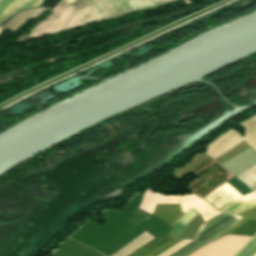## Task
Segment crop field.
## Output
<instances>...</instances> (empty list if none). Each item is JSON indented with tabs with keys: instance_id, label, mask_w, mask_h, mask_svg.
<instances>
[{
	"instance_id": "crop-field-1",
	"label": "crop field",
	"mask_w": 256,
	"mask_h": 256,
	"mask_svg": "<svg viewBox=\"0 0 256 256\" xmlns=\"http://www.w3.org/2000/svg\"><path fill=\"white\" fill-rule=\"evenodd\" d=\"M242 125L246 129L244 138L239 133L230 130L212 143L205 153L215 159L244 140L256 150V116Z\"/></svg>"
},
{
	"instance_id": "crop-field-2",
	"label": "crop field",
	"mask_w": 256,
	"mask_h": 256,
	"mask_svg": "<svg viewBox=\"0 0 256 256\" xmlns=\"http://www.w3.org/2000/svg\"><path fill=\"white\" fill-rule=\"evenodd\" d=\"M179 205L182 210V213H185L191 208L198 211L204 222L220 213V211L215 210L210 204L205 202L203 199L193 194L180 196Z\"/></svg>"
},
{
	"instance_id": "crop-field-5",
	"label": "crop field",
	"mask_w": 256,
	"mask_h": 256,
	"mask_svg": "<svg viewBox=\"0 0 256 256\" xmlns=\"http://www.w3.org/2000/svg\"><path fill=\"white\" fill-rule=\"evenodd\" d=\"M152 239L154 238H152L150 235H148L145 232L111 256H128L129 254H131L132 252H134L144 244L148 243Z\"/></svg>"
},
{
	"instance_id": "crop-field-7",
	"label": "crop field",
	"mask_w": 256,
	"mask_h": 256,
	"mask_svg": "<svg viewBox=\"0 0 256 256\" xmlns=\"http://www.w3.org/2000/svg\"><path fill=\"white\" fill-rule=\"evenodd\" d=\"M238 215H242V216H245V217H248V218H254L256 219V206L249 209V210H246Z\"/></svg>"
},
{
	"instance_id": "crop-field-3",
	"label": "crop field",
	"mask_w": 256,
	"mask_h": 256,
	"mask_svg": "<svg viewBox=\"0 0 256 256\" xmlns=\"http://www.w3.org/2000/svg\"><path fill=\"white\" fill-rule=\"evenodd\" d=\"M165 237V236H164ZM160 240V239H159ZM191 241H188V240H183L181 242H179L178 244L177 243H174L173 239L171 238L170 234H168L165 238L161 239L160 241L158 242H154L155 244L145 248L144 250L140 251L139 253L135 254L134 256H158L161 254L160 256H169L171 253H173L174 251H176L177 249H179L180 247L186 245L187 243H189ZM181 249V248H180Z\"/></svg>"
},
{
	"instance_id": "crop-field-4",
	"label": "crop field",
	"mask_w": 256,
	"mask_h": 256,
	"mask_svg": "<svg viewBox=\"0 0 256 256\" xmlns=\"http://www.w3.org/2000/svg\"><path fill=\"white\" fill-rule=\"evenodd\" d=\"M152 215L162 219L172 227L182 213L178 204H157Z\"/></svg>"
},
{
	"instance_id": "crop-field-9",
	"label": "crop field",
	"mask_w": 256,
	"mask_h": 256,
	"mask_svg": "<svg viewBox=\"0 0 256 256\" xmlns=\"http://www.w3.org/2000/svg\"><path fill=\"white\" fill-rule=\"evenodd\" d=\"M253 256H256V253Z\"/></svg>"
},
{
	"instance_id": "crop-field-6",
	"label": "crop field",
	"mask_w": 256,
	"mask_h": 256,
	"mask_svg": "<svg viewBox=\"0 0 256 256\" xmlns=\"http://www.w3.org/2000/svg\"><path fill=\"white\" fill-rule=\"evenodd\" d=\"M255 251L256 233L233 256H252Z\"/></svg>"
},
{
	"instance_id": "crop-field-8",
	"label": "crop field",
	"mask_w": 256,
	"mask_h": 256,
	"mask_svg": "<svg viewBox=\"0 0 256 256\" xmlns=\"http://www.w3.org/2000/svg\"><path fill=\"white\" fill-rule=\"evenodd\" d=\"M247 219L246 218H243L241 220H239L233 227H231L230 229L226 230L225 232H223L222 234H220L219 237H221L222 235L228 233V232H231L235 229H237L242 223H244Z\"/></svg>"
}]
</instances>
